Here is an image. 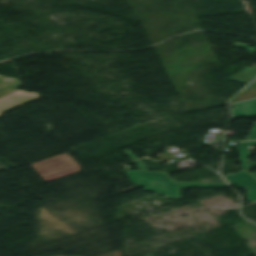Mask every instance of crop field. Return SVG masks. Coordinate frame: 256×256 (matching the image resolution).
I'll return each mask as SVG.
<instances>
[{
    "mask_svg": "<svg viewBox=\"0 0 256 256\" xmlns=\"http://www.w3.org/2000/svg\"><path fill=\"white\" fill-rule=\"evenodd\" d=\"M255 78H256V66L247 67L244 70L237 73L236 75L232 76L230 79L248 84Z\"/></svg>",
    "mask_w": 256,
    "mask_h": 256,
    "instance_id": "7",
    "label": "crop field"
},
{
    "mask_svg": "<svg viewBox=\"0 0 256 256\" xmlns=\"http://www.w3.org/2000/svg\"><path fill=\"white\" fill-rule=\"evenodd\" d=\"M248 140H253V139H256V123L254 124L248 138Z\"/></svg>",
    "mask_w": 256,
    "mask_h": 256,
    "instance_id": "10",
    "label": "crop field"
},
{
    "mask_svg": "<svg viewBox=\"0 0 256 256\" xmlns=\"http://www.w3.org/2000/svg\"><path fill=\"white\" fill-rule=\"evenodd\" d=\"M202 182H224L223 179L201 180Z\"/></svg>",
    "mask_w": 256,
    "mask_h": 256,
    "instance_id": "11",
    "label": "crop field"
},
{
    "mask_svg": "<svg viewBox=\"0 0 256 256\" xmlns=\"http://www.w3.org/2000/svg\"><path fill=\"white\" fill-rule=\"evenodd\" d=\"M141 171H129L127 176L131 183L144 186L145 190L158 194L179 198L178 188L185 187H206L217 188L226 187V184H208V183H174L173 179L167 176V173L147 172L143 163L135 161Z\"/></svg>",
    "mask_w": 256,
    "mask_h": 256,
    "instance_id": "1",
    "label": "crop field"
},
{
    "mask_svg": "<svg viewBox=\"0 0 256 256\" xmlns=\"http://www.w3.org/2000/svg\"><path fill=\"white\" fill-rule=\"evenodd\" d=\"M252 175H254L256 177V173H253Z\"/></svg>",
    "mask_w": 256,
    "mask_h": 256,
    "instance_id": "13",
    "label": "crop field"
},
{
    "mask_svg": "<svg viewBox=\"0 0 256 256\" xmlns=\"http://www.w3.org/2000/svg\"><path fill=\"white\" fill-rule=\"evenodd\" d=\"M39 94L34 92L27 93L25 91L11 92L0 97V116L3 112L22 106L39 99Z\"/></svg>",
    "mask_w": 256,
    "mask_h": 256,
    "instance_id": "3",
    "label": "crop field"
},
{
    "mask_svg": "<svg viewBox=\"0 0 256 256\" xmlns=\"http://www.w3.org/2000/svg\"><path fill=\"white\" fill-rule=\"evenodd\" d=\"M238 145L240 149V160L242 161L241 166L243 169L247 170L249 169L247 158L250 155L248 148L249 146L256 145V142H243V143H238Z\"/></svg>",
    "mask_w": 256,
    "mask_h": 256,
    "instance_id": "8",
    "label": "crop field"
},
{
    "mask_svg": "<svg viewBox=\"0 0 256 256\" xmlns=\"http://www.w3.org/2000/svg\"><path fill=\"white\" fill-rule=\"evenodd\" d=\"M231 185L243 186L248 189L247 199L250 202L256 201V178L251 176L246 171L224 176Z\"/></svg>",
    "mask_w": 256,
    "mask_h": 256,
    "instance_id": "4",
    "label": "crop field"
},
{
    "mask_svg": "<svg viewBox=\"0 0 256 256\" xmlns=\"http://www.w3.org/2000/svg\"><path fill=\"white\" fill-rule=\"evenodd\" d=\"M46 182L81 171V169L66 154L58 155L48 160L33 164Z\"/></svg>",
    "mask_w": 256,
    "mask_h": 256,
    "instance_id": "2",
    "label": "crop field"
},
{
    "mask_svg": "<svg viewBox=\"0 0 256 256\" xmlns=\"http://www.w3.org/2000/svg\"><path fill=\"white\" fill-rule=\"evenodd\" d=\"M234 106L235 109H232L234 112V117L256 116V100L234 104Z\"/></svg>",
    "mask_w": 256,
    "mask_h": 256,
    "instance_id": "5",
    "label": "crop field"
},
{
    "mask_svg": "<svg viewBox=\"0 0 256 256\" xmlns=\"http://www.w3.org/2000/svg\"><path fill=\"white\" fill-rule=\"evenodd\" d=\"M256 98V81L245 89L242 93L236 96L231 103Z\"/></svg>",
    "mask_w": 256,
    "mask_h": 256,
    "instance_id": "9",
    "label": "crop field"
},
{
    "mask_svg": "<svg viewBox=\"0 0 256 256\" xmlns=\"http://www.w3.org/2000/svg\"><path fill=\"white\" fill-rule=\"evenodd\" d=\"M22 86L19 79L0 75V95Z\"/></svg>",
    "mask_w": 256,
    "mask_h": 256,
    "instance_id": "6",
    "label": "crop field"
},
{
    "mask_svg": "<svg viewBox=\"0 0 256 256\" xmlns=\"http://www.w3.org/2000/svg\"><path fill=\"white\" fill-rule=\"evenodd\" d=\"M125 152L133 159L136 160V156L130 153V150H125Z\"/></svg>",
    "mask_w": 256,
    "mask_h": 256,
    "instance_id": "12",
    "label": "crop field"
}]
</instances>
